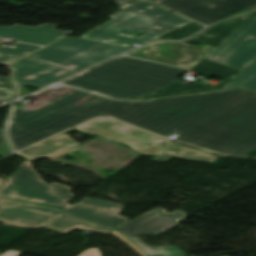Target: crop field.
<instances>
[{
	"label": "crop field",
	"instance_id": "d8731c3e",
	"mask_svg": "<svg viewBox=\"0 0 256 256\" xmlns=\"http://www.w3.org/2000/svg\"><path fill=\"white\" fill-rule=\"evenodd\" d=\"M185 217L183 211L178 210L167 214L163 208H158L123 225L117 230L129 237L150 256H185L180 247L161 246L151 248L137 237L139 233L156 235L177 225L178 221Z\"/></svg>",
	"mask_w": 256,
	"mask_h": 256
},
{
	"label": "crop field",
	"instance_id": "733c2abd",
	"mask_svg": "<svg viewBox=\"0 0 256 256\" xmlns=\"http://www.w3.org/2000/svg\"><path fill=\"white\" fill-rule=\"evenodd\" d=\"M78 144L77 141L63 132L17 154L31 161L40 157H51Z\"/></svg>",
	"mask_w": 256,
	"mask_h": 256
},
{
	"label": "crop field",
	"instance_id": "1d83c4d3",
	"mask_svg": "<svg viewBox=\"0 0 256 256\" xmlns=\"http://www.w3.org/2000/svg\"><path fill=\"white\" fill-rule=\"evenodd\" d=\"M255 8H256V6H254V7L250 8V9H247V10H245V11H243V12H240V13H238V14H236V15H239V14H242V13L249 12V11H251V10L255 9ZM236 15H233V16H236ZM231 17H232V16H231Z\"/></svg>",
	"mask_w": 256,
	"mask_h": 256
},
{
	"label": "crop field",
	"instance_id": "eef30255",
	"mask_svg": "<svg viewBox=\"0 0 256 256\" xmlns=\"http://www.w3.org/2000/svg\"><path fill=\"white\" fill-rule=\"evenodd\" d=\"M121 9L139 1V0H115Z\"/></svg>",
	"mask_w": 256,
	"mask_h": 256
},
{
	"label": "crop field",
	"instance_id": "730fd06b",
	"mask_svg": "<svg viewBox=\"0 0 256 256\" xmlns=\"http://www.w3.org/2000/svg\"><path fill=\"white\" fill-rule=\"evenodd\" d=\"M115 234L117 237H119L121 240H123L125 243H127L130 247H132L136 252H138L140 255L144 254L138 247H136L133 243H131L129 240H127L125 237H123L121 234L118 232L114 231L112 232Z\"/></svg>",
	"mask_w": 256,
	"mask_h": 256
},
{
	"label": "crop field",
	"instance_id": "8a807250",
	"mask_svg": "<svg viewBox=\"0 0 256 256\" xmlns=\"http://www.w3.org/2000/svg\"><path fill=\"white\" fill-rule=\"evenodd\" d=\"M255 93L232 90L150 101H123L77 90L38 110L13 108L7 137L17 151L99 115L167 137Z\"/></svg>",
	"mask_w": 256,
	"mask_h": 256
},
{
	"label": "crop field",
	"instance_id": "ae1a2a85",
	"mask_svg": "<svg viewBox=\"0 0 256 256\" xmlns=\"http://www.w3.org/2000/svg\"><path fill=\"white\" fill-rule=\"evenodd\" d=\"M79 256H100V253L97 249H89L80 254Z\"/></svg>",
	"mask_w": 256,
	"mask_h": 256
},
{
	"label": "crop field",
	"instance_id": "412701ff",
	"mask_svg": "<svg viewBox=\"0 0 256 256\" xmlns=\"http://www.w3.org/2000/svg\"><path fill=\"white\" fill-rule=\"evenodd\" d=\"M110 17L113 19L81 37L132 47L133 43L141 45L190 22L144 0L110 15ZM135 30L145 35L139 37L121 33L122 31L131 33Z\"/></svg>",
	"mask_w": 256,
	"mask_h": 256
},
{
	"label": "crop field",
	"instance_id": "34b2d1b8",
	"mask_svg": "<svg viewBox=\"0 0 256 256\" xmlns=\"http://www.w3.org/2000/svg\"><path fill=\"white\" fill-rule=\"evenodd\" d=\"M175 135L174 140L186 144L242 156L256 147V95Z\"/></svg>",
	"mask_w": 256,
	"mask_h": 256
},
{
	"label": "crop field",
	"instance_id": "120bbe31",
	"mask_svg": "<svg viewBox=\"0 0 256 256\" xmlns=\"http://www.w3.org/2000/svg\"><path fill=\"white\" fill-rule=\"evenodd\" d=\"M3 130L0 129V143L4 142L3 136H2Z\"/></svg>",
	"mask_w": 256,
	"mask_h": 256
},
{
	"label": "crop field",
	"instance_id": "750c4746",
	"mask_svg": "<svg viewBox=\"0 0 256 256\" xmlns=\"http://www.w3.org/2000/svg\"><path fill=\"white\" fill-rule=\"evenodd\" d=\"M243 157H256V148L245 154Z\"/></svg>",
	"mask_w": 256,
	"mask_h": 256
},
{
	"label": "crop field",
	"instance_id": "cbeb9de0",
	"mask_svg": "<svg viewBox=\"0 0 256 256\" xmlns=\"http://www.w3.org/2000/svg\"><path fill=\"white\" fill-rule=\"evenodd\" d=\"M10 67L13 70V79L20 90V96L29 94L24 87L27 84L41 88L73 74L27 57L10 65Z\"/></svg>",
	"mask_w": 256,
	"mask_h": 256
},
{
	"label": "crop field",
	"instance_id": "4a817a6b",
	"mask_svg": "<svg viewBox=\"0 0 256 256\" xmlns=\"http://www.w3.org/2000/svg\"><path fill=\"white\" fill-rule=\"evenodd\" d=\"M159 148H161L165 153L154 157L150 160L160 161L164 162L171 158L172 156L178 157L181 159L186 160H192V161H198V162H204V163H211L216 158L211 154H208L206 152L188 148L186 146L177 144L175 142L163 139L158 144H156Z\"/></svg>",
	"mask_w": 256,
	"mask_h": 256
},
{
	"label": "crop field",
	"instance_id": "00972430",
	"mask_svg": "<svg viewBox=\"0 0 256 256\" xmlns=\"http://www.w3.org/2000/svg\"><path fill=\"white\" fill-rule=\"evenodd\" d=\"M252 76L254 77L243 84L241 88L256 91V60H254L248 67H246L239 75L232 79L223 88L238 87Z\"/></svg>",
	"mask_w": 256,
	"mask_h": 256
},
{
	"label": "crop field",
	"instance_id": "e52e79f7",
	"mask_svg": "<svg viewBox=\"0 0 256 256\" xmlns=\"http://www.w3.org/2000/svg\"><path fill=\"white\" fill-rule=\"evenodd\" d=\"M74 129L94 134L127 145L131 150L148 156H157L163 151L155 144L162 138L136 129L111 118L95 119Z\"/></svg>",
	"mask_w": 256,
	"mask_h": 256
},
{
	"label": "crop field",
	"instance_id": "dd49c442",
	"mask_svg": "<svg viewBox=\"0 0 256 256\" xmlns=\"http://www.w3.org/2000/svg\"><path fill=\"white\" fill-rule=\"evenodd\" d=\"M73 188L59 184L48 185L34 171L30 161L26 160L13 176L0 188V197L43 205L64 211L65 204L75 194Z\"/></svg>",
	"mask_w": 256,
	"mask_h": 256
},
{
	"label": "crop field",
	"instance_id": "d1516ede",
	"mask_svg": "<svg viewBox=\"0 0 256 256\" xmlns=\"http://www.w3.org/2000/svg\"><path fill=\"white\" fill-rule=\"evenodd\" d=\"M60 213L32 204L0 199V222L7 226L39 228Z\"/></svg>",
	"mask_w": 256,
	"mask_h": 256
},
{
	"label": "crop field",
	"instance_id": "5866460e",
	"mask_svg": "<svg viewBox=\"0 0 256 256\" xmlns=\"http://www.w3.org/2000/svg\"><path fill=\"white\" fill-rule=\"evenodd\" d=\"M151 1H154V0H151Z\"/></svg>",
	"mask_w": 256,
	"mask_h": 256
},
{
	"label": "crop field",
	"instance_id": "d3111659",
	"mask_svg": "<svg viewBox=\"0 0 256 256\" xmlns=\"http://www.w3.org/2000/svg\"><path fill=\"white\" fill-rule=\"evenodd\" d=\"M20 254H22V253L8 250L1 256H19Z\"/></svg>",
	"mask_w": 256,
	"mask_h": 256
},
{
	"label": "crop field",
	"instance_id": "dafd665d",
	"mask_svg": "<svg viewBox=\"0 0 256 256\" xmlns=\"http://www.w3.org/2000/svg\"><path fill=\"white\" fill-rule=\"evenodd\" d=\"M40 47L18 43L13 47L3 45L0 48V63L7 64Z\"/></svg>",
	"mask_w": 256,
	"mask_h": 256
},
{
	"label": "crop field",
	"instance_id": "3316defc",
	"mask_svg": "<svg viewBox=\"0 0 256 256\" xmlns=\"http://www.w3.org/2000/svg\"><path fill=\"white\" fill-rule=\"evenodd\" d=\"M202 1L206 0H160L155 3L204 25L256 5V0H209L217 5L207 8L200 4Z\"/></svg>",
	"mask_w": 256,
	"mask_h": 256
},
{
	"label": "crop field",
	"instance_id": "d9b57169",
	"mask_svg": "<svg viewBox=\"0 0 256 256\" xmlns=\"http://www.w3.org/2000/svg\"><path fill=\"white\" fill-rule=\"evenodd\" d=\"M56 25L44 24L36 28L14 25L11 28L0 27V36L19 39L23 42L47 45L59 39L66 32L53 30Z\"/></svg>",
	"mask_w": 256,
	"mask_h": 256
},
{
	"label": "crop field",
	"instance_id": "92a150f3",
	"mask_svg": "<svg viewBox=\"0 0 256 256\" xmlns=\"http://www.w3.org/2000/svg\"><path fill=\"white\" fill-rule=\"evenodd\" d=\"M73 91H75V89H71L63 86H61L57 90H54L51 87H49L38 93L33 94L32 102L26 107H20V108L37 110L64 97L65 95Z\"/></svg>",
	"mask_w": 256,
	"mask_h": 256
},
{
	"label": "crop field",
	"instance_id": "f4fd0767",
	"mask_svg": "<svg viewBox=\"0 0 256 256\" xmlns=\"http://www.w3.org/2000/svg\"><path fill=\"white\" fill-rule=\"evenodd\" d=\"M129 49L131 48L67 37L28 57L76 72Z\"/></svg>",
	"mask_w": 256,
	"mask_h": 256
},
{
	"label": "crop field",
	"instance_id": "a9b5d70f",
	"mask_svg": "<svg viewBox=\"0 0 256 256\" xmlns=\"http://www.w3.org/2000/svg\"><path fill=\"white\" fill-rule=\"evenodd\" d=\"M203 28L202 25L190 22L184 26H181L173 31H170L164 35H161L155 39H168V40H178L185 39L194 32H197ZM195 34V33H194Z\"/></svg>",
	"mask_w": 256,
	"mask_h": 256
},
{
	"label": "crop field",
	"instance_id": "5a996713",
	"mask_svg": "<svg viewBox=\"0 0 256 256\" xmlns=\"http://www.w3.org/2000/svg\"><path fill=\"white\" fill-rule=\"evenodd\" d=\"M205 58L243 70L256 59V17L218 45Z\"/></svg>",
	"mask_w": 256,
	"mask_h": 256
},
{
	"label": "crop field",
	"instance_id": "214f88e0",
	"mask_svg": "<svg viewBox=\"0 0 256 256\" xmlns=\"http://www.w3.org/2000/svg\"><path fill=\"white\" fill-rule=\"evenodd\" d=\"M43 227H46L64 234L74 230L75 228L107 233V234L114 231L112 229L70 216L64 212H62L60 215H58L49 223L45 224Z\"/></svg>",
	"mask_w": 256,
	"mask_h": 256
},
{
	"label": "crop field",
	"instance_id": "28ad6ade",
	"mask_svg": "<svg viewBox=\"0 0 256 256\" xmlns=\"http://www.w3.org/2000/svg\"><path fill=\"white\" fill-rule=\"evenodd\" d=\"M214 48V46L161 41L148 44L129 55L191 69Z\"/></svg>",
	"mask_w": 256,
	"mask_h": 256
},
{
	"label": "crop field",
	"instance_id": "bc2a9ffb",
	"mask_svg": "<svg viewBox=\"0 0 256 256\" xmlns=\"http://www.w3.org/2000/svg\"><path fill=\"white\" fill-rule=\"evenodd\" d=\"M252 16L250 14L235 18L229 21L218 23L211 28L199 33L193 38L183 41L189 43H197V44H207L217 46L227 37H229L233 32H235L240 26H242L247 20H249ZM204 33H210L213 35L212 38H207L204 36Z\"/></svg>",
	"mask_w": 256,
	"mask_h": 256
},
{
	"label": "crop field",
	"instance_id": "4177f3b9",
	"mask_svg": "<svg viewBox=\"0 0 256 256\" xmlns=\"http://www.w3.org/2000/svg\"><path fill=\"white\" fill-rule=\"evenodd\" d=\"M0 91H12V93L9 96H0V107L10 104L14 96L17 95L16 89H14V86L12 85L10 78L0 77Z\"/></svg>",
	"mask_w": 256,
	"mask_h": 256
},
{
	"label": "crop field",
	"instance_id": "ac0d7876",
	"mask_svg": "<svg viewBox=\"0 0 256 256\" xmlns=\"http://www.w3.org/2000/svg\"><path fill=\"white\" fill-rule=\"evenodd\" d=\"M186 71L123 56L90 68L59 84L111 98L135 99L173 83Z\"/></svg>",
	"mask_w": 256,
	"mask_h": 256
},
{
	"label": "crop field",
	"instance_id": "5142ce71",
	"mask_svg": "<svg viewBox=\"0 0 256 256\" xmlns=\"http://www.w3.org/2000/svg\"><path fill=\"white\" fill-rule=\"evenodd\" d=\"M122 208L123 205L108 200L85 198L64 212L117 229L130 220L118 215Z\"/></svg>",
	"mask_w": 256,
	"mask_h": 256
},
{
	"label": "crop field",
	"instance_id": "22f410ed",
	"mask_svg": "<svg viewBox=\"0 0 256 256\" xmlns=\"http://www.w3.org/2000/svg\"><path fill=\"white\" fill-rule=\"evenodd\" d=\"M191 70L194 72H197L203 76H206V77H210V76L221 77V78H223L221 80V82H223V83L220 87L213 88V87H209L204 84H201V83H192V84L186 86L180 82H175L167 87H164L160 90L152 92V93L145 95L139 99L164 97V96L176 95V94H184V93L221 89L232 78H234L238 73L241 72V70H238V69L205 59V58H203Z\"/></svg>",
	"mask_w": 256,
	"mask_h": 256
},
{
	"label": "crop field",
	"instance_id": "d32e631a",
	"mask_svg": "<svg viewBox=\"0 0 256 256\" xmlns=\"http://www.w3.org/2000/svg\"><path fill=\"white\" fill-rule=\"evenodd\" d=\"M6 182V180L0 179V187Z\"/></svg>",
	"mask_w": 256,
	"mask_h": 256
},
{
	"label": "crop field",
	"instance_id": "bd1437ed",
	"mask_svg": "<svg viewBox=\"0 0 256 256\" xmlns=\"http://www.w3.org/2000/svg\"><path fill=\"white\" fill-rule=\"evenodd\" d=\"M203 5L207 6V7H213L215 6V4L209 2V1H206V2H202Z\"/></svg>",
	"mask_w": 256,
	"mask_h": 256
}]
</instances>
